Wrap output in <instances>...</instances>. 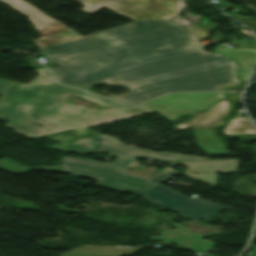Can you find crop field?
Masks as SVG:
<instances>
[{"label":"crop field","mask_w":256,"mask_h":256,"mask_svg":"<svg viewBox=\"0 0 256 256\" xmlns=\"http://www.w3.org/2000/svg\"><path fill=\"white\" fill-rule=\"evenodd\" d=\"M30 18L55 82L91 89L105 83L132 90L114 96L141 104L168 92L216 90L240 84L234 59L191 45L188 30L168 19L185 0H77L89 14L102 7L135 22L83 37L23 0H0ZM194 39V38H193Z\"/></svg>","instance_id":"crop-field-1"},{"label":"crop field","mask_w":256,"mask_h":256,"mask_svg":"<svg viewBox=\"0 0 256 256\" xmlns=\"http://www.w3.org/2000/svg\"><path fill=\"white\" fill-rule=\"evenodd\" d=\"M141 248L142 246H138L137 248H128L83 245L62 254L61 256H131Z\"/></svg>","instance_id":"crop-field-9"},{"label":"crop field","mask_w":256,"mask_h":256,"mask_svg":"<svg viewBox=\"0 0 256 256\" xmlns=\"http://www.w3.org/2000/svg\"><path fill=\"white\" fill-rule=\"evenodd\" d=\"M96 150L136 156L141 158L159 160L168 162L171 166L180 165L176 161L199 160L201 157L177 154V153H160L130 147L120 146L111 139L99 137L98 139L86 138L69 142V152H75L79 155L92 154Z\"/></svg>","instance_id":"crop-field-5"},{"label":"crop field","mask_w":256,"mask_h":256,"mask_svg":"<svg viewBox=\"0 0 256 256\" xmlns=\"http://www.w3.org/2000/svg\"><path fill=\"white\" fill-rule=\"evenodd\" d=\"M193 173H218L236 171L239 160H199L178 162Z\"/></svg>","instance_id":"crop-field-10"},{"label":"crop field","mask_w":256,"mask_h":256,"mask_svg":"<svg viewBox=\"0 0 256 256\" xmlns=\"http://www.w3.org/2000/svg\"><path fill=\"white\" fill-rule=\"evenodd\" d=\"M253 247H256V245H255V246H253Z\"/></svg>","instance_id":"crop-field-25"},{"label":"crop field","mask_w":256,"mask_h":256,"mask_svg":"<svg viewBox=\"0 0 256 256\" xmlns=\"http://www.w3.org/2000/svg\"><path fill=\"white\" fill-rule=\"evenodd\" d=\"M27 121L41 123L39 120L23 118L21 120V122L14 129L20 133L27 134L33 138L51 134V133H55V132H59V131H63V130H68V128H63V129L51 131L47 127L46 128H37L35 126H32V125L26 123Z\"/></svg>","instance_id":"crop-field-14"},{"label":"crop field","mask_w":256,"mask_h":256,"mask_svg":"<svg viewBox=\"0 0 256 256\" xmlns=\"http://www.w3.org/2000/svg\"><path fill=\"white\" fill-rule=\"evenodd\" d=\"M254 122L256 123V120H254Z\"/></svg>","instance_id":"crop-field-24"},{"label":"crop field","mask_w":256,"mask_h":256,"mask_svg":"<svg viewBox=\"0 0 256 256\" xmlns=\"http://www.w3.org/2000/svg\"><path fill=\"white\" fill-rule=\"evenodd\" d=\"M222 131L225 135L256 133L248 118L230 119L229 123Z\"/></svg>","instance_id":"crop-field-13"},{"label":"crop field","mask_w":256,"mask_h":256,"mask_svg":"<svg viewBox=\"0 0 256 256\" xmlns=\"http://www.w3.org/2000/svg\"><path fill=\"white\" fill-rule=\"evenodd\" d=\"M175 174H177V173L165 168V169L161 170L159 173H157L156 175L150 177L149 179L164 182L167 179H169L170 177L174 176Z\"/></svg>","instance_id":"crop-field-19"},{"label":"crop field","mask_w":256,"mask_h":256,"mask_svg":"<svg viewBox=\"0 0 256 256\" xmlns=\"http://www.w3.org/2000/svg\"><path fill=\"white\" fill-rule=\"evenodd\" d=\"M197 139L196 144L208 156L211 155H232L224 148V143L217 140L215 133L211 129H192Z\"/></svg>","instance_id":"crop-field-11"},{"label":"crop field","mask_w":256,"mask_h":256,"mask_svg":"<svg viewBox=\"0 0 256 256\" xmlns=\"http://www.w3.org/2000/svg\"><path fill=\"white\" fill-rule=\"evenodd\" d=\"M177 227L178 229L175 230H169V231H163L160 232V236H151L147 237L151 240L158 241L161 240L167 244L169 243H175L180 247H189L194 252H196L198 255L203 256L206 251L209 249H212L216 244L205 241L202 239V237L220 234V231L201 235L192 232L191 230L187 229L186 227L182 225H173Z\"/></svg>","instance_id":"crop-field-7"},{"label":"crop field","mask_w":256,"mask_h":256,"mask_svg":"<svg viewBox=\"0 0 256 256\" xmlns=\"http://www.w3.org/2000/svg\"><path fill=\"white\" fill-rule=\"evenodd\" d=\"M215 50L237 59L242 80H248L253 65L256 62V51L228 47H217Z\"/></svg>","instance_id":"crop-field-12"},{"label":"crop field","mask_w":256,"mask_h":256,"mask_svg":"<svg viewBox=\"0 0 256 256\" xmlns=\"http://www.w3.org/2000/svg\"><path fill=\"white\" fill-rule=\"evenodd\" d=\"M230 104L227 101H221L214 104L203 114L193 117L189 121L177 124L176 129L185 128H209L221 123L219 118L229 113Z\"/></svg>","instance_id":"crop-field-8"},{"label":"crop field","mask_w":256,"mask_h":256,"mask_svg":"<svg viewBox=\"0 0 256 256\" xmlns=\"http://www.w3.org/2000/svg\"><path fill=\"white\" fill-rule=\"evenodd\" d=\"M248 256H256V248H252Z\"/></svg>","instance_id":"crop-field-22"},{"label":"crop field","mask_w":256,"mask_h":256,"mask_svg":"<svg viewBox=\"0 0 256 256\" xmlns=\"http://www.w3.org/2000/svg\"><path fill=\"white\" fill-rule=\"evenodd\" d=\"M221 97L222 92L168 94L139 107L173 120L183 112L204 109Z\"/></svg>","instance_id":"crop-field-6"},{"label":"crop field","mask_w":256,"mask_h":256,"mask_svg":"<svg viewBox=\"0 0 256 256\" xmlns=\"http://www.w3.org/2000/svg\"><path fill=\"white\" fill-rule=\"evenodd\" d=\"M140 194L149 198L162 209H171L195 222L210 217L228 208L208 202L198 197L190 199L162 184Z\"/></svg>","instance_id":"crop-field-4"},{"label":"crop field","mask_w":256,"mask_h":256,"mask_svg":"<svg viewBox=\"0 0 256 256\" xmlns=\"http://www.w3.org/2000/svg\"><path fill=\"white\" fill-rule=\"evenodd\" d=\"M0 167L5 169V170H8V171H11V172H16V173H26L32 169H38V170H54V171H58V172H61L63 171L64 167L63 165H59V166H51V167H42V168H29V167H22V166H19L7 159H3V160H0Z\"/></svg>","instance_id":"crop-field-15"},{"label":"crop field","mask_w":256,"mask_h":256,"mask_svg":"<svg viewBox=\"0 0 256 256\" xmlns=\"http://www.w3.org/2000/svg\"><path fill=\"white\" fill-rule=\"evenodd\" d=\"M29 85L0 79V119L15 127L23 117L42 121L51 130L68 127H95L140 114L152 112L112 100L113 110L92 111L63 103L70 87L53 83L46 68Z\"/></svg>","instance_id":"crop-field-2"},{"label":"crop field","mask_w":256,"mask_h":256,"mask_svg":"<svg viewBox=\"0 0 256 256\" xmlns=\"http://www.w3.org/2000/svg\"><path fill=\"white\" fill-rule=\"evenodd\" d=\"M206 256H214V255H212V254L208 253Z\"/></svg>","instance_id":"crop-field-23"},{"label":"crop field","mask_w":256,"mask_h":256,"mask_svg":"<svg viewBox=\"0 0 256 256\" xmlns=\"http://www.w3.org/2000/svg\"><path fill=\"white\" fill-rule=\"evenodd\" d=\"M239 47L256 49V41L241 38L239 42Z\"/></svg>","instance_id":"crop-field-20"},{"label":"crop field","mask_w":256,"mask_h":256,"mask_svg":"<svg viewBox=\"0 0 256 256\" xmlns=\"http://www.w3.org/2000/svg\"><path fill=\"white\" fill-rule=\"evenodd\" d=\"M236 139H256V134L235 136Z\"/></svg>","instance_id":"crop-field-21"},{"label":"crop field","mask_w":256,"mask_h":256,"mask_svg":"<svg viewBox=\"0 0 256 256\" xmlns=\"http://www.w3.org/2000/svg\"><path fill=\"white\" fill-rule=\"evenodd\" d=\"M69 94L81 96L85 99H88L90 101H93L95 103L102 104V105H105L106 103H108L111 100V99H107V98H104V97H101V96H97V95L90 94V93H87V92H83V91L73 89V88L71 89Z\"/></svg>","instance_id":"crop-field-17"},{"label":"crop field","mask_w":256,"mask_h":256,"mask_svg":"<svg viewBox=\"0 0 256 256\" xmlns=\"http://www.w3.org/2000/svg\"><path fill=\"white\" fill-rule=\"evenodd\" d=\"M136 159H137L136 157L121 155L116 159V161L114 163L112 162L113 164H106V163H101V162L92 161V160L73 159V158L65 157V158L62 159V161L64 163V166H65V169H64L63 172L99 180V183L97 185L99 187H104V188H109V189H114V190H119V191H124V192L137 194V193H140V192H142V191H144L148 188H151V187L159 184L160 182L152 181V180L145 179V178L125 175V174L115 173V172H111V171L96 169V168H92V167L73 164V163H79V164H84V165H89V166L100 167V168H105V169L124 172ZM65 161L73 162V163H68V162H65ZM73 168L83 170V171H86V172L76 171V170H73ZM101 174L108 175V176H113V177H117V178H122V179H126V180L136 181V182H140V183H145V184H149V185H152V186L148 187V186L139 185V184H135V183H130V182H126V181L107 178V177L100 176ZM103 181L118 184V185H122V186L131 187V188H135V189H139V190H142V191H138V190H134V189H130V188H126V187L106 183V182H103Z\"/></svg>","instance_id":"crop-field-3"},{"label":"crop field","mask_w":256,"mask_h":256,"mask_svg":"<svg viewBox=\"0 0 256 256\" xmlns=\"http://www.w3.org/2000/svg\"><path fill=\"white\" fill-rule=\"evenodd\" d=\"M74 131H75V134H76V136H74V137H71V136H69L65 133H62L58 136H55V137L51 138L53 140H56V141H59V142H62V143L52 145V146H48V147L55 148V149L67 152V140L74 139V138H77V137H80V136H83V135L87 134L88 133V128L77 129V130H74Z\"/></svg>","instance_id":"crop-field-16"},{"label":"crop field","mask_w":256,"mask_h":256,"mask_svg":"<svg viewBox=\"0 0 256 256\" xmlns=\"http://www.w3.org/2000/svg\"><path fill=\"white\" fill-rule=\"evenodd\" d=\"M255 235H256V231H255Z\"/></svg>","instance_id":"crop-field-26"},{"label":"crop field","mask_w":256,"mask_h":256,"mask_svg":"<svg viewBox=\"0 0 256 256\" xmlns=\"http://www.w3.org/2000/svg\"><path fill=\"white\" fill-rule=\"evenodd\" d=\"M184 174L195 179L207 181L213 184L214 186L218 185V182H217L218 179H216L218 177L217 174H193L189 170L185 171Z\"/></svg>","instance_id":"crop-field-18"}]
</instances>
